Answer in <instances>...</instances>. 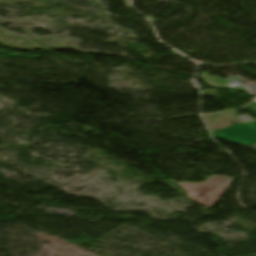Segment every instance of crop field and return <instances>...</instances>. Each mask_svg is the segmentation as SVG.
<instances>
[{
	"mask_svg": "<svg viewBox=\"0 0 256 256\" xmlns=\"http://www.w3.org/2000/svg\"><path fill=\"white\" fill-rule=\"evenodd\" d=\"M241 109H243V110H250V111H252L256 115V101L251 103V104H249V105H247V106H245V107H243V108H241Z\"/></svg>",
	"mask_w": 256,
	"mask_h": 256,
	"instance_id": "4",
	"label": "crop field"
},
{
	"mask_svg": "<svg viewBox=\"0 0 256 256\" xmlns=\"http://www.w3.org/2000/svg\"><path fill=\"white\" fill-rule=\"evenodd\" d=\"M232 179L224 176H213L202 184L177 183L188 192L192 200L210 208L230 187Z\"/></svg>",
	"mask_w": 256,
	"mask_h": 256,
	"instance_id": "1",
	"label": "crop field"
},
{
	"mask_svg": "<svg viewBox=\"0 0 256 256\" xmlns=\"http://www.w3.org/2000/svg\"><path fill=\"white\" fill-rule=\"evenodd\" d=\"M200 78L204 79L208 84L221 89H232V88H239L246 92L250 91L246 88H242L240 86L231 87L229 86V82L225 79L218 78L216 76H209L207 72H201Z\"/></svg>",
	"mask_w": 256,
	"mask_h": 256,
	"instance_id": "3",
	"label": "crop field"
},
{
	"mask_svg": "<svg viewBox=\"0 0 256 256\" xmlns=\"http://www.w3.org/2000/svg\"><path fill=\"white\" fill-rule=\"evenodd\" d=\"M215 137L234 143L253 145L256 143V121L254 124H236L230 128L215 131Z\"/></svg>",
	"mask_w": 256,
	"mask_h": 256,
	"instance_id": "2",
	"label": "crop field"
}]
</instances>
